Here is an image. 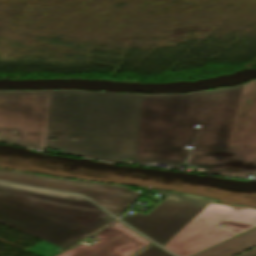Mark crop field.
Here are the masks:
<instances>
[{"mask_svg":"<svg viewBox=\"0 0 256 256\" xmlns=\"http://www.w3.org/2000/svg\"><path fill=\"white\" fill-rule=\"evenodd\" d=\"M228 224V223H227ZM256 226V209L240 206L228 225L224 226L238 234Z\"/></svg>","mask_w":256,"mask_h":256,"instance_id":"obj_12","label":"crop field"},{"mask_svg":"<svg viewBox=\"0 0 256 256\" xmlns=\"http://www.w3.org/2000/svg\"><path fill=\"white\" fill-rule=\"evenodd\" d=\"M113 219L80 196L0 183V223L63 249Z\"/></svg>","mask_w":256,"mask_h":256,"instance_id":"obj_3","label":"crop field"},{"mask_svg":"<svg viewBox=\"0 0 256 256\" xmlns=\"http://www.w3.org/2000/svg\"><path fill=\"white\" fill-rule=\"evenodd\" d=\"M255 174L256 79L244 86L221 175L248 178Z\"/></svg>","mask_w":256,"mask_h":256,"instance_id":"obj_6","label":"crop field"},{"mask_svg":"<svg viewBox=\"0 0 256 256\" xmlns=\"http://www.w3.org/2000/svg\"><path fill=\"white\" fill-rule=\"evenodd\" d=\"M238 208L239 206H223L211 203L163 247L173 252L209 234L218 229L216 225L227 224Z\"/></svg>","mask_w":256,"mask_h":256,"instance_id":"obj_9","label":"crop field"},{"mask_svg":"<svg viewBox=\"0 0 256 256\" xmlns=\"http://www.w3.org/2000/svg\"><path fill=\"white\" fill-rule=\"evenodd\" d=\"M249 256H256V253L252 254V255H249Z\"/></svg>","mask_w":256,"mask_h":256,"instance_id":"obj_16","label":"crop field"},{"mask_svg":"<svg viewBox=\"0 0 256 256\" xmlns=\"http://www.w3.org/2000/svg\"><path fill=\"white\" fill-rule=\"evenodd\" d=\"M76 141H83V140H81V139H75Z\"/></svg>","mask_w":256,"mask_h":256,"instance_id":"obj_15","label":"crop field"},{"mask_svg":"<svg viewBox=\"0 0 256 256\" xmlns=\"http://www.w3.org/2000/svg\"><path fill=\"white\" fill-rule=\"evenodd\" d=\"M235 235L234 233L220 228L219 230L173 252L177 256H190L201 250H204L220 241H223L231 236ZM236 236V235H235Z\"/></svg>","mask_w":256,"mask_h":256,"instance_id":"obj_11","label":"crop field"},{"mask_svg":"<svg viewBox=\"0 0 256 256\" xmlns=\"http://www.w3.org/2000/svg\"><path fill=\"white\" fill-rule=\"evenodd\" d=\"M142 94L50 91L45 143L62 153L123 164L136 155ZM75 138L84 139L75 142Z\"/></svg>","mask_w":256,"mask_h":256,"instance_id":"obj_2","label":"crop field"},{"mask_svg":"<svg viewBox=\"0 0 256 256\" xmlns=\"http://www.w3.org/2000/svg\"><path fill=\"white\" fill-rule=\"evenodd\" d=\"M254 252H256V249H254V250H252V251H250V252H247V253H245V254H243V255H241V256H247V255L252 254V253H254Z\"/></svg>","mask_w":256,"mask_h":256,"instance_id":"obj_14","label":"crop field"},{"mask_svg":"<svg viewBox=\"0 0 256 256\" xmlns=\"http://www.w3.org/2000/svg\"><path fill=\"white\" fill-rule=\"evenodd\" d=\"M135 256H172L155 245H150Z\"/></svg>","mask_w":256,"mask_h":256,"instance_id":"obj_13","label":"crop field"},{"mask_svg":"<svg viewBox=\"0 0 256 256\" xmlns=\"http://www.w3.org/2000/svg\"><path fill=\"white\" fill-rule=\"evenodd\" d=\"M99 242L69 249L58 256H131L150 244L119 222L94 234Z\"/></svg>","mask_w":256,"mask_h":256,"instance_id":"obj_8","label":"crop field"},{"mask_svg":"<svg viewBox=\"0 0 256 256\" xmlns=\"http://www.w3.org/2000/svg\"><path fill=\"white\" fill-rule=\"evenodd\" d=\"M244 85L189 94L144 95L136 165L171 164L179 170L203 125L187 164L220 175Z\"/></svg>","mask_w":256,"mask_h":256,"instance_id":"obj_1","label":"crop field"},{"mask_svg":"<svg viewBox=\"0 0 256 256\" xmlns=\"http://www.w3.org/2000/svg\"><path fill=\"white\" fill-rule=\"evenodd\" d=\"M48 96L49 91H0V142L41 151Z\"/></svg>","mask_w":256,"mask_h":256,"instance_id":"obj_4","label":"crop field"},{"mask_svg":"<svg viewBox=\"0 0 256 256\" xmlns=\"http://www.w3.org/2000/svg\"><path fill=\"white\" fill-rule=\"evenodd\" d=\"M256 247V229L225 241L195 256H235Z\"/></svg>","mask_w":256,"mask_h":256,"instance_id":"obj_10","label":"crop field"},{"mask_svg":"<svg viewBox=\"0 0 256 256\" xmlns=\"http://www.w3.org/2000/svg\"><path fill=\"white\" fill-rule=\"evenodd\" d=\"M211 201L217 202L171 192L148 216L134 212L122 220L163 246Z\"/></svg>","mask_w":256,"mask_h":256,"instance_id":"obj_5","label":"crop field"},{"mask_svg":"<svg viewBox=\"0 0 256 256\" xmlns=\"http://www.w3.org/2000/svg\"><path fill=\"white\" fill-rule=\"evenodd\" d=\"M0 180L84 195L118 217L140 193L127 187L40 176L0 169Z\"/></svg>","mask_w":256,"mask_h":256,"instance_id":"obj_7","label":"crop field"}]
</instances>
